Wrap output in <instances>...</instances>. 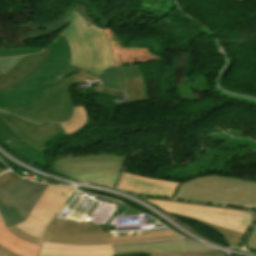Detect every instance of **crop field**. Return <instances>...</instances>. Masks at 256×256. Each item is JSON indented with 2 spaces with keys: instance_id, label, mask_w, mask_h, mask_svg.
<instances>
[{
  "instance_id": "crop-field-1",
  "label": "crop field",
  "mask_w": 256,
  "mask_h": 256,
  "mask_svg": "<svg viewBox=\"0 0 256 256\" xmlns=\"http://www.w3.org/2000/svg\"><path fill=\"white\" fill-rule=\"evenodd\" d=\"M50 50V58L33 76L13 89L0 92V108L37 105L62 78L80 69L70 65L71 50L66 38L59 37Z\"/></svg>"
},
{
  "instance_id": "crop-field-2",
  "label": "crop field",
  "mask_w": 256,
  "mask_h": 256,
  "mask_svg": "<svg viewBox=\"0 0 256 256\" xmlns=\"http://www.w3.org/2000/svg\"><path fill=\"white\" fill-rule=\"evenodd\" d=\"M173 199L252 209L256 189L199 177L181 184Z\"/></svg>"
},
{
  "instance_id": "crop-field-3",
  "label": "crop field",
  "mask_w": 256,
  "mask_h": 256,
  "mask_svg": "<svg viewBox=\"0 0 256 256\" xmlns=\"http://www.w3.org/2000/svg\"><path fill=\"white\" fill-rule=\"evenodd\" d=\"M72 50L71 64L90 70L101 76L103 69L111 68L109 46L103 33L96 26L87 27L74 14L71 25L63 32Z\"/></svg>"
},
{
  "instance_id": "crop-field-4",
  "label": "crop field",
  "mask_w": 256,
  "mask_h": 256,
  "mask_svg": "<svg viewBox=\"0 0 256 256\" xmlns=\"http://www.w3.org/2000/svg\"><path fill=\"white\" fill-rule=\"evenodd\" d=\"M181 236L171 232L165 227H154L124 231H114L110 233H95L84 235H73L56 232H47L44 242H58L80 245H95L115 242L154 240L180 238Z\"/></svg>"
},
{
  "instance_id": "crop-field-5",
  "label": "crop field",
  "mask_w": 256,
  "mask_h": 256,
  "mask_svg": "<svg viewBox=\"0 0 256 256\" xmlns=\"http://www.w3.org/2000/svg\"><path fill=\"white\" fill-rule=\"evenodd\" d=\"M147 200L167 211L201 219L244 234L252 221V215L245 211L218 209L200 205H189L159 200Z\"/></svg>"
},
{
  "instance_id": "crop-field-6",
  "label": "crop field",
  "mask_w": 256,
  "mask_h": 256,
  "mask_svg": "<svg viewBox=\"0 0 256 256\" xmlns=\"http://www.w3.org/2000/svg\"><path fill=\"white\" fill-rule=\"evenodd\" d=\"M117 160L55 162L53 170L80 182H99L115 186L123 168Z\"/></svg>"
},
{
  "instance_id": "crop-field-7",
  "label": "crop field",
  "mask_w": 256,
  "mask_h": 256,
  "mask_svg": "<svg viewBox=\"0 0 256 256\" xmlns=\"http://www.w3.org/2000/svg\"><path fill=\"white\" fill-rule=\"evenodd\" d=\"M73 192L71 187L49 186L26 221L17 225L25 233L43 238L48 223ZM66 194V197H63Z\"/></svg>"
},
{
  "instance_id": "crop-field-8",
  "label": "crop field",
  "mask_w": 256,
  "mask_h": 256,
  "mask_svg": "<svg viewBox=\"0 0 256 256\" xmlns=\"http://www.w3.org/2000/svg\"><path fill=\"white\" fill-rule=\"evenodd\" d=\"M66 90L54 87L47 97L37 106L22 109H2L16 113L37 123L65 122L71 119L73 103Z\"/></svg>"
},
{
  "instance_id": "crop-field-9",
  "label": "crop field",
  "mask_w": 256,
  "mask_h": 256,
  "mask_svg": "<svg viewBox=\"0 0 256 256\" xmlns=\"http://www.w3.org/2000/svg\"><path fill=\"white\" fill-rule=\"evenodd\" d=\"M114 253L148 250L166 256H225L186 239L112 245Z\"/></svg>"
},
{
  "instance_id": "crop-field-10",
  "label": "crop field",
  "mask_w": 256,
  "mask_h": 256,
  "mask_svg": "<svg viewBox=\"0 0 256 256\" xmlns=\"http://www.w3.org/2000/svg\"><path fill=\"white\" fill-rule=\"evenodd\" d=\"M47 187L20 178L11 185L0 188V201L5 205L11 203L25 220Z\"/></svg>"
},
{
  "instance_id": "crop-field-11",
  "label": "crop field",
  "mask_w": 256,
  "mask_h": 256,
  "mask_svg": "<svg viewBox=\"0 0 256 256\" xmlns=\"http://www.w3.org/2000/svg\"><path fill=\"white\" fill-rule=\"evenodd\" d=\"M49 47L36 55L24 56L0 77V91L10 89L33 75L49 58Z\"/></svg>"
},
{
  "instance_id": "crop-field-12",
  "label": "crop field",
  "mask_w": 256,
  "mask_h": 256,
  "mask_svg": "<svg viewBox=\"0 0 256 256\" xmlns=\"http://www.w3.org/2000/svg\"><path fill=\"white\" fill-rule=\"evenodd\" d=\"M178 185L179 183L148 179L124 173L118 188L138 194L171 198L174 189Z\"/></svg>"
},
{
  "instance_id": "crop-field-13",
  "label": "crop field",
  "mask_w": 256,
  "mask_h": 256,
  "mask_svg": "<svg viewBox=\"0 0 256 256\" xmlns=\"http://www.w3.org/2000/svg\"><path fill=\"white\" fill-rule=\"evenodd\" d=\"M7 123V122H6ZM0 116V141L15 151L17 154L43 166L45 165L44 152L27 143L17 136ZM9 141V143H6Z\"/></svg>"
},
{
  "instance_id": "crop-field-14",
  "label": "crop field",
  "mask_w": 256,
  "mask_h": 256,
  "mask_svg": "<svg viewBox=\"0 0 256 256\" xmlns=\"http://www.w3.org/2000/svg\"><path fill=\"white\" fill-rule=\"evenodd\" d=\"M38 256H113L110 245L106 246H70L43 244Z\"/></svg>"
},
{
  "instance_id": "crop-field-15",
  "label": "crop field",
  "mask_w": 256,
  "mask_h": 256,
  "mask_svg": "<svg viewBox=\"0 0 256 256\" xmlns=\"http://www.w3.org/2000/svg\"><path fill=\"white\" fill-rule=\"evenodd\" d=\"M0 243L6 248L23 256H36L40 248V246L24 243L21 240L12 236L5 229L1 219H0Z\"/></svg>"
},
{
  "instance_id": "crop-field-16",
  "label": "crop field",
  "mask_w": 256,
  "mask_h": 256,
  "mask_svg": "<svg viewBox=\"0 0 256 256\" xmlns=\"http://www.w3.org/2000/svg\"><path fill=\"white\" fill-rule=\"evenodd\" d=\"M52 222L54 223L50 224L48 231L74 233V234L103 232L100 230V228H97V226L87 223L85 221L80 226L74 225L56 218H54Z\"/></svg>"
},
{
  "instance_id": "crop-field-17",
  "label": "crop field",
  "mask_w": 256,
  "mask_h": 256,
  "mask_svg": "<svg viewBox=\"0 0 256 256\" xmlns=\"http://www.w3.org/2000/svg\"><path fill=\"white\" fill-rule=\"evenodd\" d=\"M104 79L105 87L125 91L124 76L121 67L106 69L101 76Z\"/></svg>"
},
{
  "instance_id": "crop-field-18",
  "label": "crop field",
  "mask_w": 256,
  "mask_h": 256,
  "mask_svg": "<svg viewBox=\"0 0 256 256\" xmlns=\"http://www.w3.org/2000/svg\"><path fill=\"white\" fill-rule=\"evenodd\" d=\"M86 122L87 113L85 108L83 106H76L74 118L67 123H60V125L66 134H72L76 130L82 128Z\"/></svg>"
},
{
  "instance_id": "crop-field-19",
  "label": "crop field",
  "mask_w": 256,
  "mask_h": 256,
  "mask_svg": "<svg viewBox=\"0 0 256 256\" xmlns=\"http://www.w3.org/2000/svg\"><path fill=\"white\" fill-rule=\"evenodd\" d=\"M142 78L125 79L126 84V102L144 100V91L141 84Z\"/></svg>"
},
{
  "instance_id": "crop-field-20",
  "label": "crop field",
  "mask_w": 256,
  "mask_h": 256,
  "mask_svg": "<svg viewBox=\"0 0 256 256\" xmlns=\"http://www.w3.org/2000/svg\"><path fill=\"white\" fill-rule=\"evenodd\" d=\"M171 214H175V213H171ZM176 215H179V214H176ZM179 216H183V215H179ZM183 217H186V216H183ZM186 218H189V217H186ZM189 219L199 221V222L203 223L204 225L218 231L225 238V240L227 241V243L229 244L230 247H238L240 240L244 236L241 233H238V232H235V231H232L229 229H225V228H222V227H219V226H216V225L204 222V221L196 220L193 218H189Z\"/></svg>"
},
{
  "instance_id": "crop-field-21",
  "label": "crop field",
  "mask_w": 256,
  "mask_h": 256,
  "mask_svg": "<svg viewBox=\"0 0 256 256\" xmlns=\"http://www.w3.org/2000/svg\"><path fill=\"white\" fill-rule=\"evenodd\" d=\"M0 214L5 222L6 227L13 226L24 221L11 204L5 206L0 202Z\"/></svg>"
},
{
  "instance_id": "crop-field-22",
  "label": "crop field",
  "mask_w": 256,
  "mask_h": 256,
  "mask_svg": "<svg viewBox=\"0 0 256 256\" xmlns=\"http://www.w3.org/2000/svg\"><path fill=\"white\" fill-rule=\"evenodd\" d=\"M122 68H123L125 78H132V77H138V76H142L143 78V74L138 65H126V66H122ZM143 81H144V78H143ZM142 84L145 91V97L146 99H149L147 95L146 87H145V82Z\"/></svg>"
},
{
  "instance_id": "crop-field-23",
  "label": "crop field",
  "mask_w": 256,
  "mask_h": 256,
  "mask_svg": "<svg viewBox=\"0 0 256 256\" xmlns=\"http://www.w3.org/2000/svg\"><path fill=\"white\" fill-rule=\"evenodd\" d=\"M40 51H42V50L32 49V48L1 49L0 50V57L22 55V54H31V53H37V52H40Z\"/></svg>"
},
{
  "instance_id": "crop-field-24",
  "label": "crop field",
  "mask_w": 256,
  "mask_h": 256,
  "mask_svg": "<svg viewBox=\"0 0 256 256\" xmlns=\"http://www.w3.org/2000/svg\"><path fill=\"white\" fill-rule=\"evenodd\" d=\"M127 157H117L114 155H99V156H89L84 158H62L58 161H75V160H96V159H117L121 160L120 166L123 167Z\"/></svg>"
},
{
  "instance_id": "crop-field-25",
  "label": "crop field",
  "mask_w": 256,
  "mask_h": 256,
  "mask_svg": "<svg viewBox=\"0 0 256 256\" xmlns=\"http://www.w3.org/2000/svg\"><path fill=\"white\" fill-rule=\"evenodd\" d=\"M207 178L224 181V182H228V183H232V184L256 188V182L244 181L239 178H226V177H217V176H207Z\"/></svg>"
},
{
  "instance_id": "crop-field-26",
  "label": "crop field",
  "mask_w": 256,
  "mask_h": 256,
  "mask_svg": "<svg viewBox=\"0 0 256 256\" xmlns=\"http://www.w3.org/2000/svg\"><path fill=\"white\" fill-rule=\"evenodd\" d=\"M7 229L10 232H12L13 234H15L17 237H19V238H21L25 241H29V242H32L34 244H41L42 239L30 237L27 234H25L24 232H22L21 230H19L16 226L9 227Z\"/></svg>"
},
{
  "instance_id": "crop-field-27",
  "label": "crop field",
  "mask_w": 256,
  "mask_h": 256,
  "mask_svg": "<svg viewBox=\"0 0 256 256\" xmlns=\"http://www.w3.org/2000/svg\"><path fill=\"white\" fill-rule=\"evenodd\" d=\"M23 56L12 57V58H3L0 59V76L10 69L17 61H19ZM5 74V73H4Z\"/></svg>"
},
{
  "instance_id": "crop-field-28",
  "label": "crop field",
  "mask_w": 256,
  "mask_h": 256,
  "mask_svg": "<svg viewBox=\"0 0 256 256\" xmlns=\"http://www.w3.org/2000/svg\"><path fill=\"white\" fill-rule=\"evenodd\" d=\"M248 250L256 251V224L245 242Z\"/></svg>"
},
{
  "instance_id": "crop-field-29",
  "label": "crop field",
  "mask_w": 256,
  "mask_h": 256,
  "mask_svg": "<svg viewBox=\"0 0 256 256\" xmlns=\"http://www.w3.org/2000/svg\"><path fill=\"white\" fill-rule=\"evenodd\" d=\"M19 177L14 174L7 172L0 176V187L6 186L17 180Z\"/></svg>"
},
{
  "instance_id": "crop-field-30",
  "label": "crop field",
  "mask_w": 256,
  "mask_h": 256,
  "mask_svg": "<svg viewBox=\"0 0 256 256\" xmlns=\"http://www.w3.org/2000/svg\"><path fill=\"white\" fill-rule=\"evenodd\" d=\"M214 90H215L219 95H221V96H223V97H227V98H230V99H236V100H239V101H244V102L256 104V101H255V100H251V99H247V98H242V97H238V96H234V95H230V94H226V93L220 92V91L217 89L216 86L214 87Z\"/></svg>"
},
{
  "instance_id": "crop-field-31",
  "label": "crop field",
  "mask_w": 256,
  "mask_h": 256,
  "mask_svg": "<svg viewBox=\"0 0 256 256\" xmlns=\"http://www.w3.org/2000/svg\"><path fill=\"white\" fill-rule=\"evenodd\" d=\"M122 212H125L126 214H136L141 213L135 209H132L128 206L122 205V207L119 209V211L116 213V215H121Z\"/></svg>"
},
{
  "instance_id": "crop-field-32",
  "label": "crop field",
  "mask_w": 256,
  "mask_h": 256,
  "mask_svg": "<svg viewBox=\"0 0 256 256\" xmlns=\"http://www.w3.org/2000/svg\"><path fill=\"white\" fill-rule=\"evenodd\" d=\"M0 256H19L17 254H15L14 252L6 249L5 247H3L1 244H0Z\"/></svg>"
},
{
  "instance_id": "crop-field-33",
  "label": "crop field",
  "mask_w": 256,
  "mask_h": 256,
  "mask_svg": "<svg viewBox=\"0 0 256 256\" xmlns=\"http://www.w3.org/2000/svg\"><path fill=\"white\" fill-rule=\"evenodd\" d=\"M140 252L150 253V252H148V251H140ZM122 254H126V253H122ZM117 255H121V254H115V256H117ZM150 256H162V255H158V254L150 253Z\"/></svg>"
},
{
  "instance_id": "crop-field-34",
  "label": "crop field",
  "mask_w": 256,
  "mask_h": 256,
  "mask_svg": "<svg viewBox=\"0 0 256 256\" xmlns=\"http://www.w3.org/2000/svg\"><path fill=\"white\" fill-rule=\"evenodd\" d=\"M3 172H5V171H3V170L0 169V174L3 173Z\"/></svg>"
}]
</instances>
